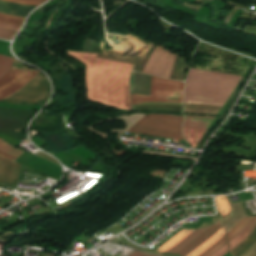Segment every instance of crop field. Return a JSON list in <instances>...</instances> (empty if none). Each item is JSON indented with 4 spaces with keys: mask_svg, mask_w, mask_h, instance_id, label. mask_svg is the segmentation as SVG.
I'll list each match as a JSON object with an SVG mask.
<instances>
[{
    "mask_svg": "<svg viewBox=\"0 0 256 256\" xmlns=\"http://www.w3.org/2000/svg\"><path fill=\"white\" fill-rule=\"evenodd\" d=\"M68 53L87 65L88 100L130 110L128 84L133 65L99 58L97 54Z\"/></svg>",
    "mask_w": 256,
    "mask_h": 256,
    "instance_id": "8a807250",
    "label": "crop field"
},
{
    "mask_svg": "<svg viewBox=\"0 0 256 256\" xmlns=\"http://www.w3.org/2000/svg\"><path fill=\"white\" fill-rule=\"evenodd\" d=\"M241 77L191 69L184 103L223 106Z\"/></svg>",
    "mask_w": 256,
    "mask_h": 256,
    "instance_id": "ac0d7876",
    "label": "crop field"
},
{
    "mask_svg": "<svg viewBox=\"0 0 256 256\" xmlns=\"http://www.w3.org/2000/svg\"><path fill=\"white\" fill-rule=\"evenodd\" d=\"M181 125V115L149 114L140 119L129 132L184 140Z\"/></svg>",
    "mask_w": 256,
    "mask_h": 256,
    "instance_id": "34b2d1b8",
    "label": "crop field"
},
{
    "mask_svg": "<svg viewBox=\"0 0 256 256\" xmlns=\"http://www.w3.org/2000/svg\"><path fill=\"white\" fill-rule=\"evenodd\" d=\"M183 83L152 76L151 96L131 94L133 104L182 105Z\"/></svg>",
    "mask_w": 256,
    "mask_h": 256,
    "instance_id": "412701ff",
    "label": "crop field"
},
{
    "mask_svg": "<svg viewBox=\"0 0 256 256\" xmlns=\"http://www.w3.org/2000/svg\"><path fill=\"white\" fill-rule=\"evenodd\" d=\"M49 83L41 74H37L28 84L3 101L44 105L49 96Z\"/></svg>",
    "mask_w": 256,
    "mask_h": 256,
    "instance_id": "f4fd0767",
    "label": "crop field"
},
{
    "mask_svg": "<svg viewBox=\"0 0 256 256\" xmlns=\"http://www.w3.org/2000/svg\"><path fill=\"white\" fill-rule=\"evenodd\" d=\"M175 57V54L157 46L142 72L169 79Z\"/></svg>",
    "mask_w": 256,
    "mask_h": 256,
    "instance_id": "dd49c442",
    "label": "crop field"
},
{
    "mask_svg": "<svg viewBox=\"0 0 256 256\" xmlns=\"http://www.w3.org/2000/svg\"><path fill=\"white\" fill-rule=\"evenodd\" d=\"M39 71L27 69L26 71L12 68L0 78V99L12 94L31 80Z\"/></svg>",
    "mask_w": 256,
    "mask_h": 256,
    "instance_id": "e52e79f7",
    "label": "crop field"
},
{
    "mask_svg": "<svg viewBox=\"0 0 256 256\" xmlns=\"http://www.w3.org/2000/svg\"><path fill=\"white\" fill-rule=\"evenodd\" d=\"M215 117L185 116L184 136L191 147L197 145Z\"/></svg>",
    "mask_w": 256,
    "mask_h": 256,
    "instance_id": "d8731c3e",
    "label": "crop field"
},
{
    "mask_svg": "<svg viewBox=\"0 0 256 256\" xmlns=\"http://www.w3.org/2000/svg\"><path fill=\"white\" fill-rule=\"evenodd\" d=\"M20 165L0 158V183L15 186Z\"/></svg>",
    "mask_w": 256,
    "mask_h": 256,
    "instance_id": "5a996713",
    "label": "crop field"
},
{
    "mask_svg": "<svg viewBox=\"0 0 256 256\" xmlns=\"http://www.w3.org/2000/svg\"><path fill=\"white\" fill-rule=\"evenodd\" d=\"M151 76L132 73L131 74V93L150 95Z\"/></svg>",
    "mask_w": 256,
    "mask_h": 256,
    "instance_id": "3316defc",
    "label": "crop field"
},
{
    "mask_svg": "<svg viewBox=\"0 0 256 256\" xmlns=\"http://www.w3.org/2000/svg\"><path fill=\"white\" fill-rule=\"evenodd\" d=\"M34 7L36 6L0 1V13L10 15L25 17Z\"/></svg>",
    "mask_w": 256,
    "mask_h": 256,
    "instance_id": "28ad6ade",
    "label": "crop field"
},
{
    "mask_svg": "<svg viewBox=\"0 0 256 256\" xmlns=\"http://www.w3.org/2000/svg\"><path fill=\"white\" fill-rule=\"evenodd\" d=\"M218 221L215 222L214 225L211 228H209L206 232H204L200 237H198L195 241H193L191 244H189L187 247H185L177 254L186 256L188 253H190L192 250H194L196 247H198L200 244L206 241L209 237H211L216 231H218L222 227V222L219 224Z\"/></svg>",
    "mask_w": 256,
    "mask_h": 256,
    "instance_id": "d1516ede",
    "label": "crop field"
},
{
    "mask_svg": "<svg viewBox=\"0 0 256 256\" xmlns=\"http://www.w3.org/2000/svg\"><path fill=\"white\" fill-rule=\"evenodd\" d=\"M22 152L12 148L0 139V156L15 161Z\"/></svg>",
    "mask_w": 256,
    "mask_h": 256,
    "instance_id": "22f410ed",
    "label": "crop field"
},
{
    "mask_svg": "<svg viewBox=\"0 0 256 256\" xmlns=\"http://www.w3.org/2000/svg\"><path fill=\"white\" fill-rule=\"evenodd\" d=\"M223 236H224V233H223V227H222L216 234H214L204 244H202L200 247H198L196 250H194L192 253H190L187 256L200 255L202 252H204L206 249H208L211 245H213L215 242H217Z\"/></svg>",
    "mask_w": 256,
    "mask_h": 256,
    "instance_id": "cbeb9de0",
    "label": "crop field"
},
{
    "mask_svg": "<svg viewBox=\"0 0 256 256\" xmlns=\"http://www.w3.org/2000/svg\"><path fill=\"white\" fill-rule=\"evenodd\" d=\"M210 226L204 227L202 229L195 230L189 236H187L184 240H182L180 243H178L175 247L171 248L167 252H169V253L178 252L179 250L184 248L186 245H188L191 241H193L196 237H198L200 234H202L205 230H207Z\"/></svg>",
    "mask_w": 256,
    "mask_h": 256,
    "instance_id": "5142ce71",
    "label": "crop field"
},
{
    "mask_svg": "<svg viewBox=\"0 0 256 256\" xmlns=\"http://www.w3.org/2000/svg\"><path fill=\"white\" fill-rule=\"evenodd\" d=\"M255 227H256V216H254L253 220L234 239L228 242L229 250L233 248L241 240H243L246 236H248Z\"/></svg>",
    "mask_w": 256,
    "mask_h": 256,
    "instance_id": "d9b57169",
    "label": "crop field"
},
{
    "mask_svg": "<svg viewBox=\"0 0 256 256\" xmlns=\"http://www.w3.org/2000/svg\"><path fill=\"white\" fill-rule=\"evenodd\" d=\"M193 230H183L179 234H177L175 237H173L171 240H169L167 243H165L163 246H161L158 251L165 252L167 249L173 247L175 244H177L180 240H182L184 237H186L189 233H191Z\"/></svg>",
    "mask_w": 256,
    "mask_h": 256,
    "instance_id": "733c2abd",
    "label": "crop field"
},
{
    "mask_svg": "<svg viewBox=\"0 0 256 256\" xmlns=\"http://www.w3.org/2000/svg\"><path fill=\"white\" fill-rule=\"evenodd\" d=\"M252 218L253 216L242 218L240 222L228 234H226L227 241L236 236L250 222Z\"/></svg>",
    "mask_w": 256,
    "mask_h": 256,
    "instance_id": "4a817a6b",
    "label": "crop field"
},
{
    "mask_svg": "<svg viewBox=\"0 0 256 256\" xmlns=\"http://www.w3.org/2000/svg\"><path fill=\"white\" fill-rule=\"evenodd\" d=\"M14 60V58L0 55V77L11 69Z\"/></svg>",
    "mask_w": 256,
    "mask_h": 256,
    "instance_id": "bc2a9ffb",
    "label": "crop field"
},
{
    "mask_svg": "<svg viewBox=\"0 0 256 256\" xmlns=\"http://www.w3.org/2000/svg\"><path fill=\"white\" fill-rule=\"evenodd\" d=\"M216 202H217L218 211L220 212L221 216L226 215L231 210L225 199V196L216 197Z\"/></svg>",
    "mask_w": 256,
    "mask_h": 256,
    "instance_id": "214f88e0",
    "label": "crop field"
},
{
    "mask_svg": "<svg viewBox=\"0 0 256 256\" xmlns=\"http://www.w3.org/2000/svg\"><path fill=\"white\" fill-rule=\"evenodd\" d=\"M24 18L0 14V22L21 26Z\"/></svg>",
    "mask_w": 256,
    "mask_h": 256,
    "instance_id": "92a150f3",
    "label": "crop field"
},
{
    "mask_svg": "<svg viewBox=\"0 0 256 256\" xmlns=\"http://www.w3.org/2000/svg\"><path fill=\"white\" fill-rule=\"evenodd\" d=\"M226 244L225 237L220 239L217 243H215L212 247H210L207 251H205L200 256H211L213 253L218 251L221 247H223Z\"/></svg>",
    "mask_w": 256,
    "mask_h": 256,
    "instance_id": "dafd665d",
    "label": "crop field"
},
{
    "mask_svg": "<svg viewBox=\"0 0 256 256\" xmlns=\"http://www.w3.org/2000/svg\"><path fill=\"white\" fill-rule=\"evenodd\" d=\"M16 32L17 31H15V30H7V29L0 28V38L12 39L13 36L16 34Z\"/></svg>",
    "mask_w": 256,
    "mask_h": 256,
    "instance_id": "00972430",
    "label": "crop field"
},
{
    "mask_svg": "<svg viewBox=\"0 0 256 256\" xmlns=\"http://www.w3.org/2000/svg\"><path fill=\"white\" fill-rule=\"evenodd\" d=\"M227 252V244L220 249L217 253H215L213 256H223Z\"/></svg>",
    "mask_w": 256,
    "mask_h": 256,
    "instance_id": "a9b5d70f",
    "label": "crop field"
},
{
    "mask_svg": "<svg viewBox=\"0 0 256 256\" xmlns=\"http://www.w3.org/2000/svg\"><path fill=\"white\" fill-rule=\"evenodd\" d=\"M0 27H1V28H7V29H15V30H18V29H19L18 26H13V25L3 24V23H0Z\"/></svg>",
    "mask_w": 256,
    "mask_h": 256,
    "instance_id": "4177f3b9",
    "label": "crop field"
},
{
    "mask_svg": "<svg viewBox=\"0 0 256 256\" xmlns=\"http://www.w3.org/2000/svg\"><path fill=\"white\" fill-rule=\"evenodd\" d=\"M130 256H153V255H149V254H145V253H142V252H139V251H135Z\"/></svg>",
    "mask_w": 256,
    "mask_h": 256,
    "instance_id": "730fd06b",
    "label": "crop field"
},
{
    "mask_svg": "<svg viewBox=\"0 0 256 256\" xmlns=\"http://www.w3.org/2000/svg\"><path fill=\"white\" fill-rule=\"evenodd\" d=\"M233 216L232 211H230L226 216H224V224Z\"/></svg>",
    "mask_w": 256,
    "mask_h": 256,
    "instance_id": "eef30255",
    "label": "crop field"
},
{
    "mask_svg": "<svg viewBox=\"0 0 256 256\" xmlns=\"http://www.w3.org/2000/svg\"><path fill=\"white\" fill-rule=\"evenodd\" d=\"M7 1L17 2V3H25V4H34V5H39V4H35V3H26V2L17 1V0H7Z\"/></svg>",
    "mask_w": 256,
    "mask_h": 256,
    "instance_id": "ae1a2a85",
    "label": "crop field"
},
{
    "mask_svg": "<svg viewBox=\"0 0 256 256\" xmlns=\"http://www.w3.org/2000/svg\"><path fill=\"white\" fill-rule=\"evenodd\" d=\"M25 1H32V2L42 3V2H40V1H33V0H25Z\"/></svg>",
    "mask_w": 256,
    "mask_h": 256,
    "instance_id": "d3111659",
    "label": "crop field"
},
{
    "mask_svg": "<svg viewBox=\"0 0 256 256\" xmlns=\"http://www.w3.org/2000/svg\"><path fill=\"white\" fill-rule=\"evenodd\" d=\"M44 1H46V0H44Z\"/></svg>",
    "mask_w": 256,
    "mask_h": 256,
    "instance_id": "750c4746",
    "label": "crop field"
}]
</instances>
